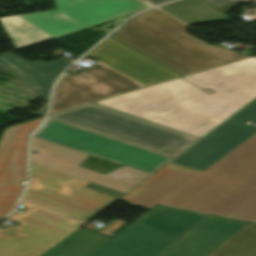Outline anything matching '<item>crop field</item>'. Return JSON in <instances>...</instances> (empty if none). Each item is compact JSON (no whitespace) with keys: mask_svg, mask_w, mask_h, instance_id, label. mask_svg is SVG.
Returning a JSON list of instances; mask_svg holds the SVG:
<instances>
[{"mask_svg":"<svg viewBox=\"0 0 256 256\" xmlns=\"http://www.w3.org/2000/svg\"><path fill=\"white\" fill-rule=\"evenodd\" d=\"M70 63L65 59L51 63H30L12 53L0 57L1 67L33 89L46 101H48L54 80Z\"/></svg>","mask_w":256,"mask_h":256,"instance_id":"obj_15","label":"crop field"},{"mask_svg":"<svg viewBox=\"0 0 256 256\" xmlns=\"http://www.w3.org/2000/svg\"><path fill=\"white\" fill-rule=\"evenodd\" d=\"M209 256H256V224H248Z\"/></svg>","mask_w":256,"mask_h":256,"instance_id":"obj_17","label":"crop field"},{"mask_svg":"<svg viewBox=\"0 0 256 256\" xmlns=\"http://www.w3.org/2000/svg\"><path fill=\"white\" fill-rule=\"evenodd\" d=\"M199 214H201V213H199ZM201 215L204 217L202 220H204L206 217L209 216V215H205V214H201ZM202 220H201V221H202ZM201 221H199L197 224H199ZM197 224H196V225H197ZM196 225H194L193 227H191L188 231H190V230H191L192 228H194ZM188 231H187V232H188ZM187 232H186V233H187ZM186 233H185V234H186ZM185 234H184V235H185ZM181 237H182V236H181ZM181 237H180V238H181ZM171 246H172V245H171ZM167 249H168V248H167ZM164 251H165V250H164ZM164 251L161 252L158 256H160L161 254H163Z\"/></svg>","mask_w":256,"mask_h":256,"instance_id":"obj_21","label":"crop field"},{"mask_svg":"<svg viewBox=\"0 0 256 256\" xmlns=\"http://www.w3.org/2000/svg\"><path fill=\"white\" fill-rule=\"evenodd\" d=\"M30 162L126 193L150 174L123 166L106 175L77 167L87 154L32 137Z\"/></svg>","mask_w":256,"mask_h":256,"instance_id":"obj_12","label":"crop field"},{"mask_svg":"<svg viewBox=\"0 0 256 256\" xmlns=\"http://www.w3.org/2000/svg\"><path fill=\"white\" fill-rule=\"evenodd\" d=\"M212 6L216 7L224 15L229 12L234 6L241 4L240 0H206Z\"/></svg>","mask_w":256,"mask_h":256,"instance_id":"obj_18","label":"crop field"},{"mask_svg":"<svg viewBox=\"0 0 256 256\" xmlns=\"http://www.w3.org/2000/svg\"><path fill=\"white\" fill-rule=\"evenodd\" d=\"M49 117L160 153L180 138L194 142L200 139L94 103Z\"/></svg>","mask_w":256,"mask_h":256,"instance_id":"obj_7","label":"crop field"},{"mask_svg":"<svg viewBox=\"0 0 256 256\" xmlns=\"http://www.w3.org/2000/svg\"><path fill=\"white\" fill-rule=\"evenodd\" d=\"M119 200L255 222L256 133L203 172L168 162Z\"/></svg>","mask_w":256,"mask_h":256,"instance_id":"obj_2","label":"crop field"},{"mask_svg":"<svg viewBox=\"0 0 256 256\" xmlns=\"http://www.w3.org/2000/svg\"><path fill=\"white\" fill-rule=\"evenodd\" d=\"M87 56L98 62L60 78L50 114L181 76L110 37Z\"/></svg>","mask_w":256,"mask_h":256,"instance_id":"obj_3","label":"crop field"},{"mask_svg":"<svg viewBox=\"0 0 256 256\" xmlns=\"http://www.w3.org/2000/svg\"><path fill=\"white\" fill-rule=\"evenodd\" d=\"M194 142L186 141L180 139L178 142H176L172 147H170L167 151H165L163 154L175 157L182 151H184L186 148L191 146Z\"/></svg>","mask_w":256,"mask_h":256,"instance_id":"obj_19","label":"crop field"},{"mask_svg":"<svg viewBox=\"0 0 256 256\" xmlns=\"http://www.w3.org/2000/svg\"><path fill=\"white\" fill-rule=\"evenodd\" d=\"M20 204L25 205V213L7 219L21 225L0 228V256H40L84 224L27 202Z\"/></svg>","mask_w":256,"mask_h":256,"instance_id":"obj_9","label":"crop field"},{"mask_svg":"<svg viewBox=\"0 0 256 256\" xmlns=\"http://www.w3.org/2000/svg\"><path fill=\"white\" fill-rule=\"evenodd\" d=\"M42 118L4 129L0 137V219L10 212L26 179L27 138Z\"/></svg>","mask_w":256,"mask_h":256,"instance_id":"obj_13","label":"crop field"},{"mask_svg":"<svg viewBox=\"0 0 256 256\" xmlns=\"http://www.w3.org/2000/svg\"><path fill=\"white\" fill-rule=\"evenodd\" d=\"M34 137L150 174L168 160L166 157L49 120H46Z\"/></svg>","mask_w":256,"mask_h":256,"instance_id":"obj_10","label":"crop field"},{"mask_svg":"<svg viewBox=\"0 0 256 256\" xmlns=\"http://www.w3.org/2000/svg\"><path fill=\"white\" fill-rule=\"evenodd\" d=\"M256 98L179 154L172 163L205 170L256 132Z\"/></svg>","mask_w":256,"mask_h":256,"instance_id":"obj_11","label":"crop field"},{"mask_svg":"<svg viewBox=\"0 0 256 256\" xmlns=\"http://www.w3.org/2000/svg\"><path fill=\"white\" fill-rule=\"evenodd\" d=\"M31 183L21 199L87 222L115 198L87 189V181L31 164Z\"/></svg>","mask_w":256,"mask_h":256,"instance_id":"obj_8","label":"crop field"},{"mask_svg":"<svg viewBox=\"0 0 256 256\" xmlns=\"http://www.w3.org/2000/svg\"><path fill=\"white\" fill-rule=\"evenodd\" d=\"M98 102L134 116L204 136L256 97V57Z\"/></svg>","mask_w":256,"mask_h":256,"instance_id":"obj_1","label":"crop field"},{"mask_svg":"<svg viewBox=\"0 0 256 256\" xmlns=\"http://www.w3.org/2000/svg\"><path fill=\"white\" fill-rule=\"evenodd\" d=\"M161 9L187 24L228 20L205 0H185Z\"/></svg>","mask_w":256,"mask_h":256,"instance_id":"obj_16","label":"crop field"},{"mask_svg":"<svg viewBox=\"0 0 256 256\" xmlns=\"http://www.w3.org/2000/svg\"><path fill=\"white\" fill-rule=\"evenodd\" d=\"M256 223V222H255Z\"/></svg>","mask_w":256,"mask_h":256,"instance_id":"obj_23","label":"crop field"},{"mask_svg":"<svg viewBox=\"0 0 256 256\" xmlns=\"http://www.w3.org/2000/svg\"><path fill=\"white\" fill-rule=\"evenodd\" d=\"M144 1L146 3H148L149 5H151V6H155V5L165 3V2H168V1H171V0H144Z\"/></svg>","mask_w":256,"mask_h":256,"instance_id":"obj_20","label":"crop field"},{"mask_svg":"<svg viewBox=\"0 0 256 256\" xmlns=\"http://www.w3.org/2000/svg\"><path fill=\"white\" fill-rule=\"evenodd\" d=\"M202 218L157 205L111 239L78 229L41 256H156Z\"/></svg>","mask_w":256,"mask_h":256,"instance_id":"obj_4","label":"crop field"},{"mask_svg":"<svg viewBox=\"0 0 256 256\" xmlns=\"http://www.w3.org/2000/svg\"><path fill=\"white\" fill-rule=\"evenodd\" d=\"M185 28L156 9L135 17L112 37L184 75L247 57L208 45Z\"/></svg>","mask_w":256,"mask_h":256,"instance_id":"obj_5","label":"crop field"},{"mask_svg":"<svg viewBox=\"0 0 256 256\" xmlns=\"http://www.w3.org/2000/svg\"><path fill=\"white\" fill-rule=\"evenodd\" d=\"M256 1V0H255Z\"/></svg>","mask_w":256,"mask_h":256,"instance_id":"obj_22","label":"crop field"},{"mask_svg":"<svg viewBox=\"0 0 256 256\" xmlns=\"http://www.w3.org/2000/svg\"><path fill=\"white\" fill-rule=\"evenodd\" d=\"M245 222L211 215L166 249L161 256H206Z\"/></svg>","mask_w":256,"mask_h":256,"instance_id":"obj_14","label":"crop field"},{"mask_svg":"<svg viewBox=\"0 0 256 256\" xmlns=\"http://www.w3.org/2000/svg\"><path fill=\"white\" fill-rule=\"evenodd\" d=\"M58 10L0 18L17 49L147 8L139 0H55Z\"/></svg>","mask_w":256,"mask_h":256,"instance_id":"obj_6","label":"crop field"}]
</instances>
